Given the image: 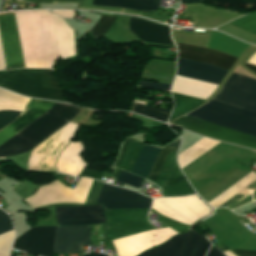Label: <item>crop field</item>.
I'll list each match as a JSON object with an SVG mask.
<instances>
[{
	"instance_id": "1",
	"label": "crop field",
	"mask_w": 256,
	"mask_h": 256,
	"mask_svg": "<svg viewBox=\"0 0 256 256\" xmlns=\"http://www.w3.org/2000/svg\"><path fill=\"white\" fill-rule=\"evenodd\" d=\"M27 98L0 89V110L21 111ZM56 103L42 101L0 131V144L47 112ZM82 108L57 103L47 113L0 145V157L25 153L68 123Z\"/></svg>"
},
{
	"instance_id": "2",
	"label": "crop field",
	"mask_w": 256,
	"mask_h": 256,
	"mask_svg": "<svg viewBox=\"0 0 256 256\" xmlns=\"http://www.w3.org/2000/svg\"><path fill=\"white\" fill-rule=\"evenodd\" d=\"M179 143L180 141L177 140L171 146L178 147ZM143 146L139 141L126 139L115 167L131 172ZM171 146H166L160 150L145 145L131 173L146 178L160 150L147 179L159 185L164 196L193 194L194 192L186 180L179 181L182 174L175 160L178 148Z\"/></svg>"
},
{
	"instance_id": "3",
	"label": "crop field",
	"mask_w": 256,
	"mask_h": 256,
	"mask_svg": "<svg viewBox=\"0 0 256 256\" xmlns=\"http://www.w3.org/2000/svg\"><path fill=\"white\" fill-rule=\"evenodd\" d=\"M14 13L25 67L52 68L59 54L50 13L46 11Z\"/></svg>"
},
{
	"instance_id": "4",
	"label": "crop field",
	"mask_w": 256,
	"mask_h": 256,
	"mask_svg": "<svg viewBox=\"0 0 256 256\" xmlns=\"http://www.w3.org/2000/svg\"><path fill=\"white\" fill-rule=\"evenodd\" d=\"M176 45L178 47V57L181 58L210 63L227 70H229L236 61V58L208 49L177 43ZM198 61L178 58L177 75L219 84L227 73V70Z\"/></svg>"
},
{
	"instance_id": "5",
	"label": "crop field",
	"mask_w": 256,
	"mask_h": 256,
	"mask_svg": "<svg viewBox=\"0 0 256 256\" xmlns=\"http://www.w3.org/2000/svg\"><path fill=\"white\" fill-rule=\"evenodd\" d=\"M0 86L25 96L64 101L51 70L22 69L0 72Z\"/></svg>"
},
{
	"instance_id": "6",
	"label": "crop field",
	"mask_w": 256,
	"mask_h": 256,
	"mask_svg": "<svg viewBox=\"0 0 256 256\" xmlns=\"http://www.w3.org/2000/svg\"><path fill=\"white\" fill-rule=\"evenodd\" d=\"M186 116L256 137V114L213 100Z\"/></svg>"
},
{
	"instance_id": "7",
	"label": "crop field",
	"mask_w": 256,
	"mask_h": 256,
	"mask_svg": "<svg viewBox=\"0 0 256 256\" xmlns=\"http://www.w3.org/2000/svg\"><path fill=\"white\" fill-rule=\"evenodd\" d=\"M93 180L80 178L75 189L72 190L57 180L41 187L34 195L24 199L32 208L57 204H83Z\"/></svg>"
},
{
	"instance_id": "8",
	"label": "crop field",
	"mask_w": 256,
	"mask_h": 256,
	"mask_svg": "<svg viewBox=\"0 0 256 256\" xmlns=\"http://www.w3.org/2000/svg\"><path fill=\"white\" fill-rule=\"evenodd\" d=\"M148 210H105L107 241L147 229H153L147 221Z\"/></svg>"
},
{
	"instance_id": "9",
	"label": "crop field",
	"mask_w": 256,
	"mask_h": 256,
	"mask_svg": "<svg viewBox=\"0 0 256 256\" xmlns=\"http://www.w3.org/2000/svg\"><path fill=\"white\" fill-rule=\"evenodd\" d=\"M213 100L256 112V80L232 73Z\"/></svg>"
},
{
	"instance_id": "10",
	"label": "crop field",
	"mask_w": 256,
	"mask_h": 256,
	"mask_svg": "<svg viewBox=\"0 0 256 256\" xmlns=\"http://www.w3.org/2000/svg\"><path fill=\"white\" fill-rule=\"evenodd\" d=\"M210 243L198 232L180 234L140 256H204Z\"/></svg>"
},
{
	"instance_id": "11",
	"label": "crop field",
	"mask_w": 256,
	"mask_h": 256,
	"mask_svg": "<svg viewBox=\"0 0 256 256\" xmlns=\"http://www.w3.org/2000/svg\"><path fill=\"white\" fill-rule=\"evenodd\" d=\"M171 123L174 126H178L210 138L256 150V138L241 133H237L186 116H183Z\"/></svg>"
},
{
	"instance_id": "12",
	"label": "crop field",
	"mask_w": 256,
	"mask_h": 256,
	"mask_svg": "<svg viewBox=\"0 0 256 256\" xmlns=\"http://www.w3.org/2000/svg\"><path fill=\"white\" fill-rule=\"evenodd\" d=\"M0 31L7 69L24 67L14 14L0 16ZM0 37V70H5V61Z\"/></svg>"
},
{
	"instance_id": "13",
	"label": "crop field",
	"mask_w": 256,
	"mask_h": 256,
	"mask_svg": "<svg viewBox=\"0 0 256 256\" xmlns=\"http://www.w3.org/2000/svg\"><path fill=\"white\" fill-rule=\"evenodd\" d=\"M176 233L169 228H164L113 240L112 242L118 252V256H135L147 248L166 241Z\"/></svg>"
},
{
	"instance_id": "14",
	"label": "crop field",
	"mask_w": 256,
	"mask_h": 256,
	"mask_svg": "<svg viewBox=\"0 0 256 256\" xmlns=\"http://www.w3.org/2000/svg\"><path fill=\"white\" fill-rule=\"evenodd\" d=\"M56 227H34L17 238L13 248L39 256H52Z\"/></svg>"
},
{
	"instance_id": "15",
	"label": "crop field",
	"mask_w": 256,
	"mask_h": 256,
	"mask_svg": "<svg viewBox=\"0 0 256 256\" xmlns=\"http://www.w3.org/2000/svg\"><path fill=\"white\" fill-rule=\"evenodd\" d=\"M151 199L129 190L103 185L96 204L105 209L149 208Z\"/></svg>"
},
{
	"instance_id": "16",
	"label": "crop field",
	"mask_w": 256,
	"mask_h": 256,
	"mask_svg": "<svg viewBox=\"0 0 256 256\" xmlns=\"http://www.w3.org/2000/svg\"><path fill=\"white\" fill-rule=\"evenodd\" d=\"M91 226L57 227L53 253L79 252L89 246Z\"/></svg>"
},
{
	"instance_id": "17",
	"label": "crop field",
	"mask_w": 256,
	"mask_h": 256,
	"mask_svg": "<svg viewBox=\"0 0 256 256\" xmlns=\"http://www.w3.org/2000/svg\"><path fill=\"white\" fill-rule=\"evenodd\" d=\"M58 225L105 223L101 205L55 208Z\"/></svg>"
},
{
	"instance_id": "18",
	"label": "crop field",
	"mask_w": 256,
	"mask_h": 256,
	"mask_svg": "<svg viewBox=\"0 0 256 256\" xmlns=\"http://www.w3.org/2000/svg\"><path fill=\"white\" fill-rule=\"evenodd\" d=\"M129 28L131 33L142 42L174 45L167 27L130 18Z\"/></svg>"
},
{
	"instance_id": "19",
	"label": "crop field",
	"mask_w": 256,
	"mask_h": 256,
	"mask_svg": "<svg viewBox=\"0 0 256 256\" xmlns=\"http://www.w3.org/2000/svg\"><path fill=\"white\" fill-rule=\"evenodd\" d=\"M152 208L164 216L187 225H191L199 219L191 211L172 198L154 199Z\"/></svg>"
},
{
	"instance_id": "20",
	"label": "crop field",
	"mask_w": 256,
	"mask_h": 256,
	"mask_svg": "<svg viewBox=\"0 0 256 256\" xmlns=\"http://www.w3.org/2000/svg\"><path fill=\"white\" fill-rule=\"evenodd\" d=\"M52 15L61 59L75 55L73 30L60 17Z\"/></svg>"
},
{
	"instance_id": "21",
	"label": "crop field",
	"mask_w": 256,
	"mask_h": 256,
	"mask_svg": "<svg viewBox=\"0 0 256 256\" xmlns=\"http://www.w3.org/2000/svg\"><path fill=\"white\" fill-rule=\"evenodd\" d=\"M159 1L160 0H93L92 5L150 12L157 9Z\"/></svg>"
},
{
	"instance_id": "22",
	"label": "crop field",
	"mask_w": 256,
	"mask_h": 256,
	"mask_svg": "<svg viewBox=\"0 0 256 256\" xmlns=\"http://www.w3.org/2000/svg\"><path fill=\"white\" fill-rule=\"evenodd\" d=\"M172 95L175 102V106L169 122H171L176 117L193 110L194 108L198 107L199 105L205 102V101H201V100H197V99H193V98H189V97H185V96H181L173 93Z\"/></svg>"
},
{
	"instance_id": "23",
	"label": "crop field",
	"mask_w": 256,
	"mask_h": 256,
	"mask_svg": "<svg viewBox=\"0 0 256 256\" xmlns=\"http://www.w3.org/2000/svg\"><path fill=\"white\" fill-rule=\"evenodd\" d=\"M117 23L118 17L102 15L90 33L97 40L103 35L116 31Z\"/></svg>"
},
{
	"instance_id": "24",
	"label": "crop field",
	"mask_w": 256,
	"mask_h": 256,
	"mask_svg": "<svg viewBox=\"0 0 256 256\" xmlns=\"http://www.w3.org/2000/svg\"><path fill=\"white\" fill-rule=\"evenodd\" d=\"M174 199L187 207L200 218L211 212V210L196 195Z\"/></svg>"
},
{
	"instance_id": "25",
	"label": "crop field",
	"mask_w": 256,
	"mask_h": 256,
	"mask_svg": "<svg viewBox=\"0 0 256 256\" xmlns=\"http://www.w3.org/2000/svg\"><path fill=\"white\" fill-rule=\"evenodd\" d=\"M133 112L139 113L143 116L150 117L156 120H160L163 122H166L169 114L171 111L161 109V108H155V107H149V106H143L139 104L133 103Z\"/></svg>"
},
{
	"instance_id": "26",
	"label": "crop field",
	"mask_w": 256,
	"mask_h": 256,
	"mask_svg": "<svg viewBox=\"0 0 256 256\" xmlns=\"http://www.w3.org/2000/svg\"><path fill=\"white\" fill-rule=\"evenodd\" d=\"M229 24L256 35V12L245 15Z\"/></svg>"
},
{
	"instance_id": "27",
	"label": "crop field",
	"mask_w": 256,
	"mask_h": 256,
	"mask_svg": "<svg viewBox=\"0 0 256 256\" xmlns=\"http://www.w3.org/2000/svg\"><path fill=\"white\" fill-rule=\"evenodd\" d=\"M102 185H103L102 183L94 180L84 205H90V204L96 203V200L98 198Z\"/></svg>"
},
{
	"instance_id": "28",
	"label": "crop field",
	"mask_w": 256,
	"mask_h": 256,
	"mask_svg": "<svg viewBox=\"0 0 256 256\" xmlns=\"http://www.w3.org/2000/svg\"><path fill=\"white\" fill-rule=\"evenodd\" d=\"M116 181L123 182V183L129 184L131 186L138 188L142 181V178L133 176L131 174H128V173L122 171Z\"/></svg>"
},
{
	"instance_id": "29",
	"label": "crop field",
	"mask_w": 256,
	"mask_h": 256,
	"mask_svg": "<svg viewBox=\"0 0 256 256\" xmlns=\"http://www.w3.org/2000/svg\"><path fill=\"white\" fill-rule=\"evenodd\" d=\"M19 114L17 111H0V129L11 123Z\"/></svg>"
},
{
	"instance_id": "30",
	"label": "crop field",
	"mask_w": 256,
	"mask_h": 256,
	"mask_svg": "<svg viewBox=\"0 0 256 256\" xmlns=\"http://www.w3.org/2000/svg\"><path fill=\"white\" fill-rule=\"evenodd\" d=\"M12 226L8 215L0 211V234L12 230Z\"/></svg>"
},
{
	"instance_id": "31",
	"label": "crop field",
	"mask_w": 256,
	"mask_h": 256,
	"mask_svg": "<svg viewBox=\"0 0 256 256\" xmlns=\"http://www.w3.org/2000/svg\"><path fill=\"white\" fill-rule=\"evenodd\" d=\"M137 86L169 91L171 85L161 83H150L140 80Z\"/></svg>"
},
{
	"instance_id": "32",
	"label": "crop field",
	"mask_w": 256,
	"mask_h": 256,
	"mask_svg": "<svg viewBox=\"0 0 256 256\" xmlns=\"http://www.w3.org/2000/svg\"><path fill=\"white\" fill-rule=\"evenodd\" d=\"M249 192L248 189H243L241 192H239L238 194H236L234 197H232L231 199H229L227 202H225L224 204H222L220 207H230L232 204H234L235 202H237L239 199H241L242 197H244L245 195H247Z\"/></svg>"
},
{
	"instance_id": "33",
	"label": "crop field",
	"mask_w": 256,
	"mask_h": 256,
	"mask_svg": "<svg viewBox=\"0 0 256 256\" xmlns=\"http://www.w3.org/2000/svg\"><path fill=\"white\" fill-rule=\"evenodd\" d=\"M238 256H256V251H240V250H231Z\"/></svg>"
},
{
	"instance_id": "34",
	"label": "crop field",
	"mask_w": 256,
	"mask_h": 256,
	"mask_svg": "<svg viewBox=\"0 0 256 256\" xmlns=\"http://www.w3.org/2000/svg\"><path fill=\"white\" fill-rule=\"evenodd\" d=\"M53 13H55L63 18H72L75 11H53Z\"/></svg>"
},
{
	"instance_id": "35",
	"label": "crop field",
	"mask_w": 256,
	"mask_h": 256,
	"mask_svg": "<svg viewBox=\"0 0 256 256\" xmlns=\"http://www.w3.org/2000/svg\"><path fill=\"white\" fill-rule=\"evenodd\" d=\"M207 256H224L219 250H217L214 246H211Z\"/></svg>"
},
{
	"instance_id": "36",
	"label": "crop field",
	"mask_w": 256,
	"mask_h": 256,
	"mask_svg": "<svg viewBox=\"0 0 256 256\" xmlns=\"http://www.w3.org/2000/svg\"><path fill=\"white\" fill-rule=\"evenodd\" d=\"M33 1L36 3H54V0H29ZM63 1H76V2H81V0H63Z\"/></svg>"
},
{
	"instance_id": "37",
	"label": "crop field",
	"mask_w": 256,
	"mask_h": 256,
	"mask_svg": "<svg viewBox=\"0 0 256 256\" xmlns=\"http://www.w3.org/2000/svg\"><path fill=\"white\" fill-rule=\"evenodd\" d=\"M180 1H181V4L202 2V0H180Z\"/></svg>"
},
{
	"instance_id": "38",
	"label": "crop field",
	"mask_w": 256,
	"mask_h": 256,
	"mask_svg": "<svg viewBox=\"0 0 256 256\" xmlns=\"http://www.w3.org/2000/svg\"><path fill=\"white\" fill-rule=\"evenodd\" d=\"M245 66H247L249 69H251L253 72L256 73V65H251V64H247V63H246Z\"/></svg>"
},
{
	"instance_id": "39",
	"label": "crop field",
	"mask_w": 256,
	"mask_h": 256,
	"mask_svg": "<svg viewBox=\"0 0 256 256\" xmlns=\"http://www.w3.org/2000/svg\"><path fill=\"white\" fill-rule=\"evenodd\" d=\"M226 256H235L233 253H231L229 250L224 251Z\"/></svg>"
}]
</instances>
